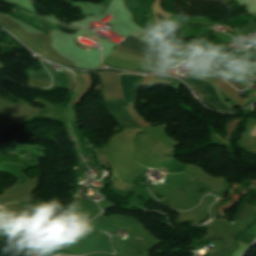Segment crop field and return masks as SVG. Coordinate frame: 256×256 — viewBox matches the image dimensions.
I'll use <instances>...</instances> for the list:
<instances>
[{"label": "crop field", "mask_w": 256, "mask_h": 256, "mask_svg": "<svg viewBox=\"0 0 256 256\" xmlns=\"http://www.w3.org/2000/svg\"><path fill=\"white\" fill-rule=\"evenodd\" d=\"M195 77L190 76L186 82L193 85L200 92L202 101L214 105L216 109L223 111H232V108L226 106L219 100V98L216 96L215 92L207 82H205L204 80L203 82L201 81L202 79L199 80L200 78L197 79L198 77Z\"/></svg>", "instance_id": "crop-field-2"}, {"label": "crop field", "mask_w": 256, "mask_h": 256, "mask_svg": "<svg viewBox=\"0 0 256 256\" xmlns=\"http://www.w3.org/2000/svg\"><path fill=\"white\" fill-rule=\"evenodd\" d=\"M109 113L116 119L120 127H140L128 114L123 99L104 101Z\"/></svg>", "instance_id": "crop-field-3"}, {"label": "crop field", "mask_w": 256, "mask_h": 256, "mask_svg": "<svg viewBox=\"0 0 256 256\" xmlns=\"http://www.w3.org/2000/svg\"><path fill=\"white\" fill-rule=\"evenodd\" d=\"M142 76L121 74L120 84L126 104H135V91L140 86Z\"/></svg>", "instance_id": "crop-field-4"}, {"label": "crop field", "mask_w": 256, "mask_h": 256, "mask_svg": "<svg viewBox=\"0 0 256 256\" xmlns=\"http://www.w3.org/2000/svg\"><path fill=\"white\" fill-rule=\"evenodd\" d=\"M15 203H20V200L19 201H16V202H13V203H0L1 204H15Z\"/></svg>", "instance_id": "crop-field-5"}, {"label": "crop field", "mask_w": 256, "mask_h": 256, "mask_svg": "<svg viewBox=\"0 0 256 256\" xmlns=\"http://www.w3.org/2000/svg\"><path fill=\"white\" fill-rule=\"evenodd\" d=\"M116 49L130 53L135 56L146 57V58L175 57V56L167 54L151 45L142 43L131 36L125 38L120 43V45H118L116 47Z\"/></svg>", "instance_id": "crop-field-1"}]
</instances>
